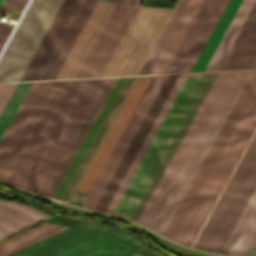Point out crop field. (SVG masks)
<instances>
[{
  "instance_id": "obj_1",
  "label": "crop field",
  "mask_w": 256,
  "mask_h": 256,
  "mask_svg": "<svg viewBox=\"0 0 256 256\" xmlns=\"http://www.w3.org/2000/svg\"><path fill=\"white\" fill-rule=\"evenodd\" d=\"M236 73L237 71L219 72L217 75L216 73L210 75L195 73L199 75L188 76L180 93L178 94L161 127L155 135L137 170L135 171L123 195L121 196L118 204L116 205L114 212L122 213L130 217L133 209L139 201L142 193L144 192L147 184L149 183L152 175L158 167L161 159L163 158L166 150L168 149L170 143L172 142L175 134L177 133L180 125L182 124L184 118L186 117L189 109L191 108L194 100L196 99L199 91L201 90L209 75L206 83L200 91L187 117L185 118L173 142L171 143L169 149L167 150L164 158L162 159L159 167L157 168L155 174L153 175L150 183L148 184L145 192L143 193L140 201L138 202L131 215V217L138 219L142 209L144 208L148 198L150 197L161 174L163 173L167 163L169 162L173 152L175 151L179 141L181 140L185 130L187 129L191 119L193 118L198 106L200 105L204 95L206 94L216 75L213 83L211 84L207 94L205 95L194 118L192 119L188 129L186 130L182 140L180 141L176 151L174 152L170 162L168 163L164 173L162 174L157 186L155 187L151 197L149 198L139 217V220L147 223L148 225H154L174 186L176 185L185 166L187 165L191 155L193 154L202 135L204 134L208 124L210 123L214 113L216 112L220 102L222 101L231 82L233 81ZM178 110L180 111L179 113L177 112ZM114 212L113 214L124 216ZM128 219L152 228L136 219Z\"/></svg>"
},
{
  "instance_id": "obj_2",
  "label": "crop field",
  "mask_w": 256,
  "mask_h": 256,
  "mask_svg": "<svg viewBox=\"0 0 256 256\" xmlns=\"http://www.w3.org/2000/svg\"><path fill=\"white\" fill-rule=\"evenodd\" d=\"M109 80L50 81L0 180L47 196Z\"/></svg>"
},
{
  "instance_id": "obj_3",
  "label": "crop field",
  "mask_w": 256,
  "mask_h": 256,
  "mask_svg": "<svg viewBox=\"0 0 256 256\" xmlns=\"http://www.w3.org/2000/svg\"><path fill=\"white\" fill-rule=\"evenodd\" d=\"M140 6L142 0H114ZM115 2L99 0L56 79L75 78ZM138 7L116 3L76 78L101 77ZM171 10L139 7L103 76L139 72ZM172 12V11H171Z\"/></svg>"
},
{
  "instance_id": "obj_4",
  "label": "crop field",
  "mask_w": 256,
  "mask_h": 256,
  "mask_svg": "<svg viewBox=\"0 0 256 256\" xmlns=\"http://www.w3.org/2000/svg\"><path fill=\"white\" fill-rule=\"evenodd\" d=\"M255 128L256 70H253L164 236L192 245Z\"/></svg>"
},
{
  "instance_id": "obj_5",
  "label": "crop field",
  "mask_w": 256,
  "mask_h": 256,
  "mask_svg": "<svg viewBox=\"0 0 256 256\" xmlns=\"http://www.w3.org/2000/svg\"><path fill=\"white\" fill-rule=\"evenodd\" d=\"M59 226V227L53 224ZM0 242V256H131L144 242L132 233L103 224L55 217Z\"/></svg>"
},
{
  "instance_id": "obj_6",
  "label": "crop field",
  "mask_w": 256,
  "mask_h": 256,
  "mask_svg": "<svg viewBox=\"0 0 256 256\" xmlns=\"http://www.w3.org/2000/svg\"><path fill=\"white\" fill-rule=\"evenodd\" d=\"M256 183V133L193 247L219 252ZM256 236V185L220 252L246 255Z\"/></svg>"
},
{
  "instance_id": "obj_7",
  "label": "crop field",
  "mask_w": 256,
  "mask_h": 256,
  "mask_svg": "<svg viewBox=\"0 0 256 256\" xmlns=\"http://www.w3.org/2000/svg\"><path fill=\"white\" fill-rule=\"evenodd\" d=\"M203 0H179L140 74L165 73ZM228 0H204L166 73L190 72Z\"/></svg>"
},
{
  "instance_id": "obj_8",
  "label": "crop field",
  "mask_w": 256,
  "mask_h": 256,
  "mask_svg": "<svg viewBox=\"0 0 256 256\" xmlns=\"http://www.w3.org/2000/svg\"><path fill=\"white\" fill-rule=\"evenodd\" d=\"M134 77L112 78L48 197L66 202Z\"/></svg>"
},
{
  "instance_id": "obj_9",
  "label": "crop field",
  "mask_w": 256,
  "mask_h": 256,
  "mask_svg": "<svg viewBox=\"0 0 256 256\" xmlns=\"http://www.w3.org/2000/svg\"><path fill=\"white\" fill-rule=\"evenodd\" d=\"M62 0H32L0 56V82L19 81Z\"/></svg>"
},
{
  "instance_id": "obj_10",
  "label": "crop field",
  "mask_w": 256,
  "mask_h": 256,
  "mask_svg": "<svg viewBox=\"0 0 256 256\" xmlns=\"http://www.w3.org/2000/svg\"><path fill=\"white\" fill-rule=\"evenodd\" d=\"M251 72L252 70L238 71L152 230L163 235Z\"/></svg>"
},
{
  "instance_id": "obj_11",
  "label": "crop field",
  "mask_w": 256,
  "mask_h": 256,
  "mask_svg": "<svg viewBox=\"0 0 256 256\" xmlns=\"http://www.w3.org/2000/svg\"><path fill=\"white\" fill-rule=\"evenodd\" d=\"M152 76H138L69 203L82 204Z\"/></svg>"
},
{
  "instance_id": "obj_12",
  "label": "crop field",
  "mask_w": 256,
  "mask_h": 256,
  "mask_svg": "<svg viewBox=\"0 0 256 256\" xmlns=\"http://www.w3.org/2000/svg\"><path fill=\"white\" fill-rule=\"evenodd\" d=\"M166 77L167 75L153 76L150 84L148 83L149 85L145 93L134 110L92 188L90 189L88 197L85 198L82 204L83 207L94 209L97 201L99 200L102 192L104 191Z\"/></svg>"
},
{
  "instance_id": "obj_13",
  "label": "crop field",
  "mask_w": 256,
  "mask_h": 256,
  "mask_svg": "<svg viewBox=\"0 0 256 256\" xmlns=\"http://www.w3.org/2000/svg\"><path fill=\"white\" fill-rule=\"evenodd\" d=\"M178 76L179 74L168 75L165 83L163 82L164 84L160 92L158 93L155 101L153 102L140 128L138 129L135 137L133 138L130 146L128 147L125 155L123 156L120 164L118 165L100 200L98 201L95 210L103 212L105 211L108 203L110 202L114 192L116 191L119 183L121 182L125 172L127 171L130 163L132 162L136 152L138 151L141 143L143 142L146 134L148 133L152 123L154 122L157 114L159 113L163 103L165 102ZM130 154L133 155L130 156Z\"/></svg>"
},
{
  "instance_id": "obj_14",
  "label": "crop field",
  "mask_w": 256,
  "mask_h": 256,
  "mask_svg": "<svg viewBox=\"0 0 256 256\" xmlns=\"http://www.w3.org/2000/svg\"><path fill=\"white\" fill-rule=\"evenodd\" d=\"M96 1H78L36 80L55 79Z\"/></svg>"
},
{
  "instance_id": "obj_15",
  "label": "crop field",
  "mask_w": 256,
  "mask_h": 256,
  "mask_svg": "<svg viewBox=\"0 0 256 256\" xmlns=\"http://www.w3.org/2000/svg\"><path fill=\"white\" fill-rule=\"evenodd\" d=\"M49 81L32 82L0 140V173L43 95Z\"/></svg>"
},
{
  "instance_id": "obj_16",
  "label": "crop field",
  "mask_w": 256,
  "mask_h": 256,
  "mask_svg": "<svg viewBox=\"0 0 256 256\" xmlns=\"http://www.w3.org/2000/svg\"><path fill=\"white\" fill-rule=\"evenodd\" d=\"M256 64V4L220 70L254 68Z\"/></svg>"
},
{
  "instance_id": "obj_17",
  "label": "crop field",
  "mask_w": 256,
  "mask_h": 256,
  "mask_svg": "<svg viewBox=\"0 0 256 256\" xmlns=\"http://www.w3.org/2000/svg\"><path fill=\"white\" fill-rule=\"evenodd\" d=\"M48 217L18 202L0 199V239Z\"/></svg>"
},
{
  "instance_id": "obj_18",
  "label": "crop field",
  "mask_w": 256,
  "mask_h": 256,
  "mask_svg": "<svg viewBox=\"0 0 256 256\" xmlns=\"http://www.w3.org/2000/svg\"><path fill=\"white\" fill-rule=\"evenodd\" d=\"M78 0H64L21 81L35 80Z\"/></svg>"
},
{
  "instance_id": "obj_19",
  "label": "crop field",
  "mask_w": 256,
  "mask_h": 256,
  "mask_svg": "<svg viewBox=\"0 0 256 256\" xmlns=\"http://www.w3.org/2000/svg\"><path fill=\"white\" fill-rule=\"evenodd\" d=\"M187 76H188V74H180V76H179V78H178L176 84L174 85V87H173V89H172L170 95L168 96V98H167V100H166L164 106L162 107V109H161L159 115L157 116V118H156V120H155L153 126L151 127V129H150V131H149L147 137L145 138V140H144V142H143L141 148L139 149V151H138V153H137L135 159L133 160V162H132V164H131L129 170L127 171V173H126L124 179L122 180V182H121V184H120L118 190L116 191V193H115V195H114L112 201L110 202V204H109V206H108L106 212L112 213V211H113V209H114L116 203L118 202L120 196L122 195V193H123L125 187L127 186V184H128V182H129L130 178L132 177V175H133L135 169L137 168L139 162L141 161V159H142L144 153L146 152V150H147L149 144L151 143V141H152L154 135L156 134V132H157L159 126L161 125V123H162L164 117L166 116V114H167L169 108L171 107L173 101L175 100V98H176L178 92L180 91V89H181L183 83L185 82Z\"/></svg>"
},
{
  "instance_id": "obj_20",
  "label": "crop field",
  "mask_w": 256,
  "mask_h": 256,
  "mask_svg": "<svg viewBox=\"0 0 256 256\" xmlns=\"http://www.w3.org/2000/svg\"><path fill=\"white\" fill-rule=\"evenodd\" d=\"M242 0H230L191 72L204 71Z\"/></svg>"
},
{
  "instance_id": "obj_21",
  "label": "crop field",
  "mask_w": 256,
  "mask_h": 256,
  "mask_svg": "<svg viewBox=\"0 0 256 256\" xmlns=\"http://www.w3.org/2000/svg\"><path fill=\"white\" fill-rule=\"evenodd\" d=\"M255 0H243L205 71L218 70Z\"/></svg>"
},
{
  "instance_id": "obj_22",
  "label": "crop field",
  "mask_w": 256,
  "mask_h": 256,
  "mask_svg": "<svg viewBox=\"0 0 256 256\" xmlns=\"http://www.w3.org/2000/svg\"><path fill=\"white\" fill-rule=\"evenodd\" d=\"M31 82L17 83L13 93L11 94L7 104L0 115V138L19 106L22 98L28 90Z\"/></svg>"
},
{
  "instance_id": "obj_23",
  "label": "crop field",
  "mask_w": 256,
  "mask_h": 256,
  "mask_svg": "<svg viewBox=\"0 0 256 256\" xmlns=\"http://www.w3.org/2000/svg\"><path fill=\"white\" fill-rule=\"evenodd\" d=\"M18 0H6L0 14H3L5 10H14ZM13 25L5 24L0 22V50L2 49L6 39L8 38Z\"/></svg>"
},
{
  "instance_id": "obj_24",
  "label": "crop field",
  "mask_w": 256,
  "mask_h": 256,
  "mask_svg": "<svg viewBox=\"0 0 256 256\" xmlns=\"http://www.w3.org/2000/svg\"><path fill=\"white\" fill-rule=\"evenodd\" d=\"M16 83L0 84V113L12 93Z\"/></svg>"
},
{
  "instance_id": "obj_25",
  "label": "crop field",
  "mask_w": 256,
  "mask_h": 256,
  "mask_svg": "<svg viewBox=\"0 0 256 256\" xmlns=\"http://www.w3.org/2000/svg\"><path fill=\"white\" fill-rule=\"evenodd\" d=\"M28 0H20L15 8V10H23L27 4Z\"/></svg>"
},
{
  "instance_id": "obj_26",
  "label": "crop field",
  "mask_w": 256,
  "mask_h": 256,
  "mask_svg": "<svg viewBox=\"0 0 256 256\" xmlns=\"http://www.w3.org/2000/svg\"><path fill=\"white\" fill-rule=\"evenodd\" d=\"M247 255H256V238H255L252 246L250 247Z\"/></svg>"
},
{
  "instance_id": "obj_27",
  "label": "crop field",
  "mask_w": 256,
  "mask_h": 256,
  "mask_svg": "<svg viewBox=\"0 0 256 256\" xmlns=\"http://www.w3.org/2000/svg\"><path fill=\"white\" fill-rule=\"evenodd\" d=\"M137 253H139V254H141L143 256H154V255H152V254H150V253H148V252H146V251H144L142 249L140 251H138Z\"/></svg>"
},
{
  "instance_id": "obj_28",
  "label": "crop field",
  "mask_w": 256,
  "mask_h": 256,
  "mask_svg": "<svg viewBox=\"0 0 256 256\" xmlns=\"http://www.w3.org/2000/svg\"><path fill=\"white\" fill-rule=\"evenodd\" d=\"M4 1H5V0H0V9H1V7H2Z\"/></svg>"
},
{
  "instance_id": "obj_29",
  "label": "crop field",
  "mask_w": 256,
  "mask_h": 256,
  "mask_svg": "<svg viewBox=\"0 0 256 256\" xmlns=\"http://www.w3.org/2000/svg\"><path fill=\"white\" fill-rule=\"evenodd\" d=\"M134 256H139V255L135 254Z\"/></svg>"
},
{
  "instance_id": "obj_30",
  "label": "crop field",
  "mask_w": 256,
  "mask_h": 256,
  "mask_svg": "<svg viewBox=\"0 0 256 256\" xmlns=\"http://www.w3.org/2000/svg\"><path fill=\"white\" fill-rule=\"evenodd\" d=\"M255 68H256V66H255Z\"/></svg>"
}]
</instances>
